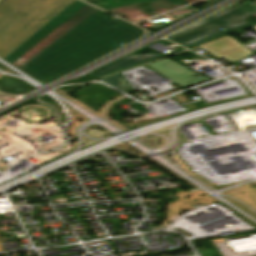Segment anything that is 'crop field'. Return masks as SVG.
Segmentation results:
<instances>
[{"instance_id":"obj_8","label":"crop field","mask_w":256,"mask_h":256,"mask_svg":"<svg viewBox=\"0 0 256 256\" xmlns=\"http://www.w3.org/2000/svg\"><path fill=\"white\" fill-rule=\"evenodd\" d=\"M182 1H184V2H186V3H188V4H190V3H193V2H196V1H199V0H182Z\"/></svg>"},{"instance_id":"obj_2","label":"crop field","mask_w":256,"mask_h":256,"mask_svg":"<svg viewBox=\"0 0 256 256\" xmlns=\"http://www.w3.org/2000/svg\"><path fill=\"white\" fill-rule=\"evenodd\" d=\"M71 1L0 0V57L10 53Z\"/></svg>"},{"instance_id":"obj_6","label":"crop field","mask_w":256,"mask_h":256,"mask_svg":"<svg viewBox=\"0 0 256 256\" xmlns=\"http://www.w3.org/2000/svg\"><path fill=\"white\" fill-rule=\"evenodd\" d=\"M163 56L162 54H140V55H131L126 58H123L103 69H100L92 74H90L93 77H99L150 59H154L157 57Z\"/></svg>"},{"instance_id":"obj_5","label":"crop field","mask_w":256,"mask_h":256,"mask_svg":"<svg viewBox=\"0 0 256 256\" xmlns=\"http://www.w3.org/2000/svg\"><path fill=\"white\" fill-rule=\"evenodd\" d=\"M198 47L216 58H223L230 63L247 58V56L253 54L230 36L204 43Z\"/></svg>"},{"instance_id":"obj_1","label":"crop field","mask_w":256,"mask_h":256,"mask_svg":"<svg viewBox=\"0 0 256 256\" xmlns=\"http://www.w3.org/2000/svg\"><path fill=\"white\" fill-rule=\"evenodd\" d=\"M110 18L96 11L20 69L40 81L50 82L117 49L120 43L143 36V30Z\"/></svg>"},{"instance_id":"obj_4","label":"crop field","mask_w":256,"mask_h":256,"mask_svg":"<svg viewBox=\"0 0 256 256\" xmlns=\"http://www.w3.org/2000/svg\"><path fill=\"white\" fill-rule=\"evenodd\" d=\"M254 17H256V6L251 2H247L218 13L169 37V39L185 47H190L214 37L251 25V20ZM220 28L225 30L219 31L218 29Z\"/></svg>"},{"instance_id":"obj_9","label":"crop field","mask_w":256,"mask_h":256,"mask_svg":"<svg viewBox=\"0 0 256 256\" xmlns=\"http://www.w3.org/2000/svg\"><path fill=\"white\" fill-rule=\"evenodd\" d=\"M184 5H187V4H184ZM181 6H183V5H181ZM180 7V6H179ZM177 8V7H176Z\"/></svg>"},{"instance_id":"obj_7","label":"crop field","mask_w":256,"mask_h":256,"mask_svg":"<svg viewBox=\"0 0 256 256\" xmlns=\"http://www.w3.org/2000/svg\"><path fill=\"white\" fill-rule=\"evenodd\" d=\"M102 81L107 84H110L114 87H119V88H121L122 91H124L126 93L133 91V89L128 84V82L125 80V78L122 76V74H117V75L105 78Z\"/></svg>"},{"instance_id":"obj_10","label":"crop field","mask_w":256,"mask_h":256,"mask_svg":"<svg viewBox=\"0 0 256 256\" xmlns=\"http://www.w3.org/2000/svg\"><path fill=\"white\" fill-rule=\"evenodd\" d=\"M88 1H92V0H88Z\"/></svg>"},{"instance_id":"obj_3","label":"crop field","mask_w":256,"mask_h":256,"mask_svg":"<svg viewBox=\"0 0 256 256\" xmlns=\"http://www.w3.org/2000/svg\"><path fill=\"white\" fill-rule=\"evenodd\" d=\"M96 10L74 0L3 59L20 68Z\"/></svg>"}]
</instances>
